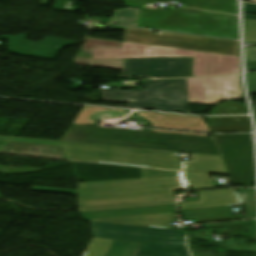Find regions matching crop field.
I'll list each match as a JSON object with an SVG mask.
<instances>
[{
    "label": "crop field",
    "mask_w": 256,
    "mask_h": 256,
    "mask_svg": "<svg viewBox=\"0 0 256 256\" xmlns=\"http://www.w3.org/2000/svg\"><path fill=\"white\" fill-rule=\"evenodd\" d=\"M141 170V179L78 184V208L174 199L185 189L181 172Z\"/></svg>",
    "instance_id": "1"
},
{
    "label": "crop field",
    "mask_w": 256,
    "mask_h": 256,
    "mask_svg": "<svg viewBox=\"0 0 256 256\" xmlns=\"http://www.w3.org/2000/svg\"><path fill=\"white\" fill-rule=\"evenodd\" d=\"M61 141L220 156L213 138L71 125Z\"/></svg>",
    "instance_id": "2"
},
{
    "label": "crop field",
    "mask_w": 256,
    "mask_h": 256,
    "mask_svg": "<svg viewBox=\"0 0 256 256\" xmlns=\"http://www.w3.org/2000/svg\"><path fill=\"white\" fill-rule=\"evenodd\" d=\"M194 57L192 77L240 73L239 57L122 43V49L95 48L91 66L122 69L124 58Z\"/></svg>",
    "instance_id": "3"
},
{
    "label": "crop field",
    "mask_w": 256,
    "mask_h": 256,
    "mask_svg": "<svg viewBox=\"0 0 256 256\" xmlns=\"http://www.w3.org/2000/svg\"><path fill=\"white\" fill-rule=\"evenodd\" d=\"M93 237L141 242L135 256H190L187 232L90 222Z\"/></svg>",
    "instance_id": "4"
},
{
    "label": "crop field",
    "mask_w": 256,
    "mask_h": 256,
    "mask_svg": "<svg viewBox=\"0 0 256 256\" xmlns=\"http://www.w3.org/2000/svg\"><path fill=\"white\" fill-rule=\"evenodd\" d=\"M145 90L103 89L105 101L130 102L126 106L153 108L160 110L190 112L188 105L171 103H188L186 79L144 81Z\"/></svg>",
    "instance_id": "5"
},
{
    "label": "crop field",
    "mask_w": 256,
    "mask_h": 256,
    "mask_svg": "<svg viewBox=\"0 0 256 256\" xmlns=\"http://www.w3.org/2000/svg\"><path fill=\"white\" fill-rule=\"evenodd\" d=\"M124 31L123 42L239 56L238 41L115 26Z\"/></svg>",
    "instance_id": "6"
},
{
    "label": "crop field",
    "mask_w": 256,
    "mask_h": 256,
    "mask_svg": "<svg viewBox=\"0 0 256 256\" xmlns=\"http://www.w3.org/2000/svg\"><path fill=\"white\" fill-rule=\"evenodd\" d=\"M234 184L255 183L251 134L214 135Z\"/></svg>",
    "instance_id": "7"
},
{
    "label": "crop field",
    "mask_w": 256,
    "mask_h": 256,
    "mask_svg": "<svg viewBox=\"0 0 256 256\" xmlns=\"http://www.w3.org/2000/svg\"><path fill=\"white\" fill-rule=\"evenodd\" d=\"M239 76L187 79L189 103L214 104L241 98Z\"/></svg>",
    "instance_id": "8"
},
{
    "label": "crop field",
    "mask_w": 256,
    "mask_h": 256,
    "mask_svg": "<svg viewBox=\"0 0 256 256\" xmlns=\"http://www.w3.org/2000/svg\"><path fill=\"white\" fill-rule=\"evenodd\" d=\"M193 58L127 59L123 75L154 78L191 77Z\"/></svg>",
    "instance_id": "9"
},
{
    "label": "crop field",
    "mask_w": 256,
    "mask_h": 256,
    "mask_svg": "<svg viewBox=\"0 0 256 256\" xmlns=\"http://www.w3.org/2000/svg\"><path fill=\"white\" fill-rule=\"evenodd\" d=\"M9 43L11 53L26 57L54 60L61 48L75 44L76 42L45 37L41 43L26 41V34L16 36H1Z\"/></svg>",
    "instance_id": "10"
},
{
    "label": "crop field",
    "mask_w": 256,
    "mask_h": 256,
    "mask_svg": "<svg viewBox=\"0 0 256 256\" xmlns=\"http://www.w3.org/2000/svg\"><path fill=\"white\" fill-rule=\"evenodd\" d=\"M199 201L181 203V210L241 204L235 189L198 192Z\"/></svg>",
    "instance_id": "11"
},
{
    "label": "crop field",
    "mask_w": 256,
    "mask_h": 256,
    "mask_svg": "<svg viewBox=\"0 0 256 256\" xmlns=\"http://www.w3.org/2000/svg\"><path fill=\"white\" fill-rule=\"evenodd\" d=\"M170 212H175L174 205L97 211V212H85L80 214L84 218V220H86V219H95V218L123 217V216L147 215V214H158V213H170Z\"/></svg>",
    "instance_id": "12"
},
{
    "label": "crop field",
    "mask_w": 256,
    "mask_h": 256,
    "mask_svg": "<svg viewBox=\"0 0 256 256\" xmlns=\"http://www.w3.org/2000/svg\"><path fill=\"white\" fill-rule=\"evenodd\" d=\"M190 162H183L185 170L228 174L221 157L189 154Z\"/></svg>",
    "instance_id": "13"
},
{
    "label": "crop field",
    "mask_w": 256,
    "mask_h": 256,
    "mask_svg": "<svg viewBox=\"0 0 256 256\" xmlns=\"http://www.w3.org/2000/svg\"><path fill=\"white\" fill-rule=\"evenodd\" d=\"M181 212L184 220L235 217L232 214L230 206L195 209V210H183Z\"/></svg>",
    "instance_id": "14"
},
{
    "label": "crop field",
    "mask_w": 256,
    "mask_h": 256,
    "mask_svg": "<svg viewBox=\"0 0 256 256\" xmlns=\"http://www.w3.org/2000/svg\"><path fill=\"white\" fill-rule=\"evenodd\" d=\"M247 216V219L256 218V196L255 189H238L237 191Z\"/></svg>",
    "instance_id": "15"
},
{
    "label": "crop field",
    "mask_w": 256,
    "mask_h": 256,
    "mask_svg": "<svg viewBox=\"0 0 256 256\" xmlns=\"http://www.w3.org/2000/svg\"><path fill=\"white\" fill-rule=\"evenodd\" d=\"M139 243L114 240L106 256H133Z\"/></svg>",
    "instance_id": "16"
},
{
    "label": "crop field",
    "mask_w": 256,
    "mask_h": 256,
    "mask_svg": "<svg viewBox=\"0 0 256 256\" xmlns=\"http://www.w3.org/2000/svg\"><path fill=\"white\" fill-rule=\"evenodd\" d=\"M138 13L139 10L133 8L114 11L112 23L136 26Z\"/></svg>",
    "instance_id": "17"
},
{
    "label": "crop field",
    "mask_w": 256,
    "mask_h": 256,
    "mask_svg": "<svg viewBox=\"0 0 256 256\" xmlns=\"http://www.w3.org/2000/svg\"><path fill=\"white\" fill-rule=\"evenodd\" d=\"M112 241L93 238L83 256H105Z\"/></svg>",
    "instance_id": "18"
},
{
    "label": "crop field",
    "mask_w": 256,
    "mask_h": 256,
    "mask_svg": "<svg viewBox=\"0 0 256 256\" xmlns=\"http://www.w3.org/2000/svg\"><path fill=\"white\" fill-rule=\"evenodd\" d=\"M185 177L191 189L214 186L208 174L185 172Z\"/></svg>",
    "instance_id": "19"
},
{
    "label": "crop field",
    "mask_w": 256,
    "mask_h": 256,
    "mask_svg": "<svg viewBox=\"0 0 256 256\" xmlns=\"http://www.w3.org/2000/svg\"><path fill=\"white\" fill-rule=\"evenodd\" d=\"M218 114H247V111L244 103L224 102L211 111V115Z\"/></svg>",
    "instance_id": "20"
},
{
    "label": "crop field",
    "mask_w": 256,
    "mask_h": 256,
    "mask_svg": "<svg viewBox=\"0 0 256 256\" xmlns=\"http://www.w3.org/2000/svg\"><path fill=\"white\" fill-rule=\"evenodd\" d=\"M168 204H174V201L158 202V203H148V204H137V205H126V206H115V207H104V208H94V209H83V210H78V211L79 212H84V211H96V210L132 208V207H144V206H156V205H168Z\"/></svg>",
    "instance_id": "21"
},
{
    "label": "crop field",
    "mask_w": 256,
    "mask_h": 256,
    "mask_svg": "<svg viewBox=\"0 0 256 256\" xmlns=\"http://www.w3.org/2000/svg\"><path fill=\"white\" fill-rule=\"evenodd\" d=\"M32 191L77 195V191L33 187Z\"/></svg>",
    "instance_id": "22"
},
{
    "label": "crop field",
    "mask_w": 256,
    "mask_h": 256,
    "mask_svg": "<svg viewBox=\"0 0 256 256\" xmlns=\"http://www.w3.org/2000/svg\"><path fill=\"white\" fill-rule=\"evenodd\" d=\"M244 4H245V7L243 9L244 12L256 14L255 4H248V3H244ZM243 19L256 20V16L243 14Z\"/></svg>",
    "instance_id": "23"
},
{
    "label": "crop field",
    "mask_w": 256,
    "mask_h": 256,
    "mask_svg": "<svg viewBox=\"0 0 256 256\" xmlns=\"http://www.w3.org/2000/svg\"><path fill=\"white\" fill-rule=\"evenodd\" d=\"M242 225H251V224L249 221H239V222L209 224V225H204V226L205 227L208 226L209 228H215V227L242 226Z\"/></svg>",
    "instance_id": "24"
},
{
    "label": "crop field",
    "mask_w": 256,
    "mask_h": 256,
    "mask_svg": "<svg viewBox=\"0 0 256 256\" xmlns=\"http://www.w3.org/2000/svg\"><path fill=\"white\" fill-rule=\"evenodd\" d=\"M246 62H256V48H245Z\"/></svg>",
    "instance_id": "25"
},
{
    "label": "crop field",
    "mask_w": 256,
    "mask_h": 256,
    "mask_svg": "<svg viewBox=\"0 0 256 256\" xmlns=\"http://www.w3.org/2000/svg\"><path fill=\"white\" fill-rule=\"evenodd\" d=\"M251 93H256V73H247Z\"/></svg>",
    "instance_id": "26"
},
{
    "label": "crop field",
    "mask_w": 256,
    "mask_h": 256,
    "mask_svg": "<svg viewBox=\"0 0 256 256\" xmlns=\"http://www.w3.org/2000/svg\"><path fill=\"white\" fill-rule=\"evenodd\" d=\"M66 2L67 0H55L53 5L54 10L75 12L76 10L64 9Z\"/></svg>",
    "instance_id": "27"
},
{
    "label": "crop field",
    "mask_w": 256,
    "mask_h": 256,
    "mask_svg": "<svg viewBox=\"0 0 256 256\" xmlns=\"http://www.w3.org/2000/svg\"><path fill=\"white\" fill-rule=\"evenodd\" d=\"M241 219V217H235V218H223V219H207V220H197L195 223L199 222H212V221H224V220H236Z\"/></svg>",
    "instance_id": "28"
},
{
    "label": "crop field",
    "mask_w": 256,
    "mask_h": 256,
    "mask_svg": "<svg viewBox=\"0 0 256 256\" xmlns=\"http://www.w3.org/2000/svg\"><path fill=\"white\" fill-rule=\"evenodd\" d=\"M248 71H256V63H246Z\"/></svg>",
    "instance_id": "29"
},
{
    "label": "crop field",
    "mask_w": 256,
    "mask_h": 256,
    "mask_svg": "<svg viewBox=\"0 0 256 256\" xmlns=\"http://www.w3.org/2000/svg\"><path fill=\"white\" fill-rule=\"evenodd\" d=\"M250 222H251L252 227H253V229H254V231L256 233V220H253V221H250Z\"/></svg>",
    "instance_id": "30"
},
{
    "label": "crop field",
    "mask_w": 256,
    "mask_h": 256,
    "mask_svg": "<svg viewBox=\"0 0 256 256\" xmlns=\"http://www.w3.org/2000/svg\"><path fill=\"white\" fill-rule=\"evenodd\" d=\"M251 45H256V42H250Z\"/></svg>",
    "instance_id": "31"
},
{
    "label": "crop field",
    "mask_w": 256,
    "mask_h": 256,
    "mask_svg": "<svg viewBox=\"0 0 256 256\" xmlns=\"http://www.w3.org/2000/svg\"><path fill=\"white\" fill-rule=\"evenodd\" d=\"M2 198V197H1Z\"/></svg>",
    "instance_id": "32"
}]
</instances>
